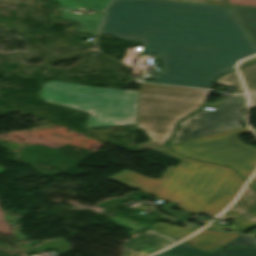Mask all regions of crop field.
Returning a JSON list of instances; mask_svg holds the SVG:
<instances>
[{"mask_svg": "<svg viewBox=\"0 0 256 256\" xmlns=\"http://www.w3.org/2000/svg\"><path fill=\"white\" fill-rule=\"evenodd\" d=\"M251 98V107H256V63L239 70Z\"/></svg>", "mask_w": 256, "mask_h": 256, "instance_id": "5142ce71", "label": "crop field"}, {"mask_svg": "<svg viewBox=\"0 0 256 256\" xmlns=\"http://www.w3.org/2000/svg\"><path fill=\"white\" fill-rule=\"evenodd\" d=\"M175 242L177 241L148 229L123 245L122 256H145Z\"/></svg>", "mask_w": 256, "mask_h": 256, "instance_id": "d8731c3e", "label": "crop field"}, {"mask_svg": "<svg viewBox=\"0 0 256 256\" xmlns=\"http://www.w3.org/2000/svg\"><path fill=\"white\" fill-rule=\"evenodd\" d=\"M181 160L177 168L168 167L160 180L125 170L108 180L147 192L154 197L179 203L185 211L214 217L224 210L240 192L243 181L224 166L187 159L166 146L152 149Z\"/></svg>", "mask_w": 256, "mask_h": 256, "instance_id": "ac0d7876", "label": "crop field"}, {"mask_svg": "<svg viewBox=\"0 0 256 256\" xmlns=\"http://www.w3.org/2000/svg\"><path fill=\"white\" fill-rule=\"evenodd\" d=\"M254 244H256V241L252 239L250 236L241 235L236 239L232 240L231 242H229L228 244L224 245L223 247L248 246V245H254Z\"/></svg>", "mask_w": 256, "mask_h": 256, "instance_id": "733c2abd", "label": "crop field"}, {"mask_svg": "<svg viewBox=\"0 0 256 256\" xmlns=\"http://www.w3.org/2000/svg\"><path fill=\"white\" fill-rule=\"evenodd\" d=\"M250 183L256 189V176Z\"/></svg>", "mask_w": 256, "mask_h": 256, "instance_id": "214f88e0", "label": "crop field"}, {"mask_svg": "<svg viewBox=\"0 0 256 256\" xmlns=\"http://www.w3.org/2000/svg\"><path fill=\"white\" fill-rule=\"evenodd\" d=\"M215 84L233 86L236 89V91H233L234 93L244 92V89L236 72H232L226 76L217 79Z\"/></svg>", "mask_w": 256, "mask_h": 256, "instance_id": "d9b57169", "label": "crop field"}, {"mask_svg": "<svg viewBox=\"0 0 256 256\" xmlns=\"http://www.w3.org/2000/svg\"><path fill=\"white\" fill-rule=\"evenodd\" d=\"M245 107V95H235L224 100L215 111H198L180 123L170 145L241 127L239 122L244 120L241 110Z\"/></svg>", "mask_w": 256, "mask_h": 256, "instance_id": "dd49c442", "label": "crop field"}, {"mask_svg": "<svg viewBox=\"0 0 256 256\" xmlns=\"http://www.w3.org/2000/svg\"><path fill=\"white\" fill-rule=\"evenodd\" d=\"M239 235L241 234L218 233L203 229L201 232L187 239L184 242L194 245L206 252H210L223 246L224 244L228 243Z\"/></svg>", "mask_w": 256, "mask_h": 256, "instance_id": "3316defc", "label": "crop field"}, {"mask_svg": "<svg viewBox=\"0 0 256 256\" xmlns=\"http://www.w3.org/2000/svg\"><path fill=\"white\" fill-rule=\"evenodd\" d=\"M218 219L226 221L231 219L235 222L230 228L213 224L209 226L239 233H245L256 226V192L249 184L244 189L238 201L218 217Z\"/></svg>", "mask_w": 256, "mask_h": 256, "instance_id": "e52e79f7", "label": "crop field"}, {"mask_svg": "<svg viewBox=\"0 0 256 256\" xmlns=\"http://www.w3.org/2000/svg\"><path fill=\"white\" fill-rule=\"evenodd\" d=\"M59 6L67 9H75L77 7L88 8L91 10L104 11L112 0H54ZM76 10V9H75Z\"/></svg>", "mask_w": 256, "mask_h": 256, "instance_id": "22f410ed", "label": "crop field"}, {"mask_svg": "<svg viewBox=\"0 0 256 256\" xmlns=\"http://www.w3.org/2000/svg\"><path fill=\"white\" fill-rule=\"evenodd\" d=\"M99 33L141 41L164 73L144 82L212 88L216 76L256 53L229 6L163 0H114Z\"/></svg>", "mask_w": 256, "mask_h": 256, "instance_id": "8a807250", "label": "crop field"}, {"mask_svg": "<svg viewBox=\"0 0 256 256\" xmlns=\"http://www.w3.org/2000/svg\"><path fill=\"white\" fill-rule=\"evenodd\" d=\"M155 256H256V246L235 249H219L209 254L181 243Z\"/></svg>", "mask_w": 256, "mask_h": 256, "instance_id": "5a996713", "label": "crop field"}, {"mask_svg": "<svg viewBox=\"0 0 256 256\" xmlns=\"http://www.w3.org/2000/svg\"><path fill=\"white\" fill-rule=\"evenodd\" d=\"M245 132H249L247 127L170 147L190 158L232 166L241 176L248 179L256 170V148L239 141L238 136Z\"/></svg>", "mask_w": 256, "mask_h": 256, "instance_id": "f4fd0767", "label": "crop field"}, {"mask_svg": "<svg viewBox=\"0 0 256 256\" xmlns=\"http://www.w3.org/2000/svg\"><path fill=\"white\" fill-rule=\"evenodd\" d=\"M150 229H153L155 231H158L160 233H163L165 235H168L170 237H173L175 239H182L193 232L197 231L199 228L192 227L187 225L185 228L176 227V226H170L163 223H155Z\"/></svg>", "mask_w": 256, "mask_h": 256, "instance_id": "cbeb9de0", "label": "crop field"}, {"mask_svg": "<svg viewBox=\"0 0 256 256\" xmlns=\"http://www.w3.org/2000/svg\"><path fill=\"white\" fill-rule=\"evenodd\" d=\"M210 90L140 83L137 128L151 141L136 145L137 151L164 146L177 122L200 108Z\"/></svg>", "mask_w": 256, "mask_h": 256, "instance_id": "34b2d1b8", "label": "crop field"}, {"mask_svg": "<svg viewBox=\"0 0 256 256\" xmlns=\"http://www.w3.org/2000/svg\"><path fill=\"white\" fill-rule=\"evenodd\" d=\"M256 45V7L230 6Z\"/></svg>", "mask_w": 256, "mask_h": 256, "instance_id": "d1516ede", "label": "crop field"}, {"mask_svg": "<svg viewBox=\"0 0 256 256\" xmlns=\"http://www.w3.org/2000/svg\"><path fill=\"white\" fill-rule=\"evenodd\" d=\"M60 19L78 22L80 23V26L77 31L96 35L102 20V14L94 13L92 15L85 16L71 13L70 10L62 9Z\"/></svg>", "mask_w": 256, "mask_h": 256, "instance_id": "28ad6ade", "label": "crop field"}, {"mask_svg": "<svg viewBox=\"0 0 256 256\" xmlns=\"http://www.w3.org/2000/svg\"><path fill=\"white\" fill-rule=\"evenodd\" d=\"M163 210H165V211H167L168 213H170V214H172L173 216H175V217H179L180 215H178V214H176V213H174V212H172V211H170V210H168V209H166V208H164V207H161Z\"/></svg>", "mask_w": 256, "mask_h": 256, "instance_id": "bc2a9ffb", "label": "crop field"}, {"mask_svg": "<svg viewBox=\"0 0 256 256\" xmlns=\"http://www.w3.org/2000/svg\"><path fill=\"white\" fill-rule=\"evenodd\" d=\"M138 91L78 85L50 80L41 100L90 113L86 127L136 124Z\"/></svg>", "mask_w": 256, "mask_h": 256, "instance_id": "412701ff", "label": "crop field"}, {"mask_svg": "<svg viewBox=\"0 0 256 256\" xmlns=\"http://www.w3.org/2000/svg\"><path fill=\"white\" fill-rule=\"evenodd\" d=\"M255 60H256V57L251 58V59H248V60L242 62L241 64H239V67L242 66V65H245V64H247V63H250V62H252V61H255Z\"/></svg>", "mask_w": 256, "mask_h": 256, "instance_id": "4a817a6b", "label": "crop field"}]
</instances>
